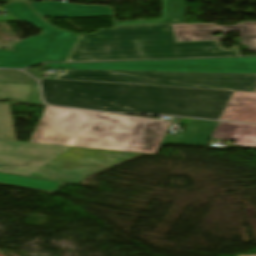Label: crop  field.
Segmentation results:
<instances>
[{
	"label": "crop field",
	"instance_id": "crop-field-12",
	"mask_svg": "<svg viewBox=\"0 0 256 256\" xmlns=\"http://www.w3.org/2000/svg\"><path fill=\"white\" fill-rule=\"evenodd\" d=\"M213 137L235 141L236 146L256 147V125L220 122Z\"/></svg>",
	"mask_w": 256,
	"mask_h": 256
},
{
	"label": "crop field",
	"instance_id": "crop-field-20",
	"mask_svg": "<svg viewBox=\"0 0 256 256\" xmlns=\"http://www.w3.org/2000/svg\"><path fill=\"white\" fill-rule=\"evenodd\" d=\"M30 74H32L34 77H38L40 70H26Z\"/></svg>",
	"mask_w": 256,
	"mask_h": 256
},
{
	"label": "crop field",
	"instance_id": "crop-field-19",
	"mask_svg": "<svg viewBox=\"0 0 256 256\" xmlns=\"http://www.w3.org/2000/svg\"><path fill=\"white\" fill-rule=\"evenodd\" d=\"M28 102L42 104L41 101H40V97H39L37 82H36V84L34 85V87L32 89V92L30 94Z\"/></svg>",
	"mask_w": 256,
	"mask_h": 256
},
{
	"label": "crop field",
	"instance_id": "crop-field-22",
	"mask_svg": "<svg viewBox=\"0 0 256 256\" xmlns=\"http://www.w3.org/2000/svg\"><path fill=\"white\" fill-rule=\"evenodd\" d=\"M239 256H256V255H239Z\"/></svg>",
	"mask_w": 256,
	"mask_h": 256
},
{
	"label": "crop field",
	"instance_id": "crop-field-16",
	"mask_svg": "<svg viewBox=\"0 0 256 256\" xmlns=\"http://www.w3.org/2000/svg\"><path fill=\"white\" fill-rule=\"evenodd\" d=\"M32 87L30 85L0 83V100L14 99V101L27 102Z\"/></svg>",
	"mask_w": 256,
	"mask_h": 256
},
{
	"label": "crop field",
	"instance_id": "crop-field-18",
	"mask_svg": "<svg viewBox=\"0 0 256 256\" xmlns=\"http://www.w3.org/2000/svg\"><path fill=\"white\" fill-rule=\"evenodd\" d=\"M0 82L34 84L35 80L22 71L0 70Z\"/></svg>",
	"mask_w": 256,
	"mask_h": 256
},
{
	"label": "crop field",
	"instance_id": "crop-field-11",
	"mask_svg": "<svg viewBox=\"0 0 256 256\" xmlns=\"http://www.w3.org/2000/svg\"><path fill=\"white\" fill-rule=\"evenodd\" d=\"M221 119L256 122V93L234 92Z\"/></svg>",
	"mask_w": 256,
	"mask_h": 256
},
{
	"label": "crop field",
	"instance_id": "crop-field-3",
	"mask_svg": "<svg viewBox=\"0 0 256 256\" xmlns=\"http://www.w3.org/2000/svg\"><path fill=\"white\" fill-rule=\"evenodd\" d=\"M239 56L220 41L176 42L170 25L114 27L81 36L67 62Z\"/></svg>",
	"mask_w": 256,
	"mask_h": 256
},
{
	"label": "crop field",
	"instance_id": "crop-field-10",
	"mask_svg": "<svg viewBox=\"0 0 256 256\" xmlns=\"http://www.w3.org/2000/svg\"><path fill=\"white\" fill-rule=\"evenodd\" d=\"M217 122L190 119L181 138L165 136L162 144L205 146Z\"/></svg>",
	"mask_w": 256,
	"mask_h": 256
},
{
	"label": "crop field",
	"instance_id": "crop-field-6",
	"mask_svg": "<svg viewBox=\"0 0 256 256\" xmlns=\"http://www.w3.org/2000/svg\"><path fill=\"white\" fill-rule=\"evenodd\" d=\"M43 68L256 74V57L45 64Z\"/></svg>",
	"mask_w": 256,
	"mask_h": 256
},
{
	"label": "crop field",
	"instance_id": "crop-field-2",
	"mask_svg": "<svg viewBox=\"0 0 256 256\" xmlns=\"http://www.w3.org/2000/svg\"><path fill=\"white\" fill-rule=\"evenodd\" d=\"M169 123L46 107L29 142L155 154Z\"/></svg>",
	"mask_w": 256,
	"mask_h": 256
},
{
	"label": "crop field",
	"instance_id": "crop-field-4",
	"mask_svg": "<svg viewBox=\"0 0 256 256\" xmlns=\"http://www.w3.org/2000/svg\"><path fill=\"white\" fill-rule=\"evenodd\" d=\"M135 155L138 154L0 141V171L78 184L86 175Z\"/></svg>",
	"mask_w": 256,
	"mask_h": 256
},
{
	"label": "crop field",
	"instance_id": "crop-field-23",
	"mask_svg": "<svg viewBox=\"0 0 256 256\" xmlns=\"http://www.w3.org/2000/svg\"><path fill=\"white\" fill-rule=\"evenodd\" d=\"M29 1H34V0H29Z\"/></svg>",
	"mask_w": 256,
	"mask_h": 256
},
{
	"label": "crop field",
	"instance_id": "crop-field-9",
	"mask_svg": "<svg viewBox=\"0 0 256 256\" xmlns=\"http://www.w3.org/2000/svg\"><path fill=\"white\" fill-rule=\"evenodd\" d=\"M41 17H87L111 16V8L105 6H82L60 2L30 3Z\"/></svg>",
	"mask_w": 256,
	"mask_h": 256
},
{
	"label": "crop field",
	"instance_id": "crop-field-7",
	"mask_svg": "<svg viewBox=\"0 0 256 256\" xmlns=\"http://www.w3.org/2000/svg\"><path fill=\"white\" fill-rule=\"evenodd\" d=\"M4 9L22 22L31 23L44 30L43 36L19 42L11 51L64 62L78 35L58 30L45 23L28 6L27 2L11 3ZM44 48V50L42 49Z\"/></svg>",
	"mask_w": 256,
	"mask_h": 256
},
{
	"label": "crop field",
	"instance_id": "crop-field-17",
	"mask_svg": "<svg viewBox=\"0 0 256 256\" xmlns=\"http://www.w3.org/2000/svg\"><path fill=\"white\" fill-rule=\"evenodd\" d=\"M0 139L16 141L9 103H0Z\"/></svg>",
	"mask_w": 256,
	"mask_h": 256
},
{
	"label": "crop field",
	"instance_id": "crop-field-15",
	"mask_svg": "<svg viewBox=\"0 0 256 256\" xmlns=\"http://www.w3.org/2000/svg\"><path fill=\"white\" fill-rule=\"evenodd\" d=\"M0 182L55 192L60 183L0 173Z\"/></svg>",
	"mask_w": 256,
	"mask_h": 256
},
{
	"label": "crop field",
	"instance_id": "crop-field-21",
	"mask_svg": "<svg viewBox=\"0 0 256 256\" xmlns=\"http://www.w3.org/2000/svg\"><path fill=\"white\" fill-rule=\"evenodd\" d=\"M19 1H27V0H11V2H19Z\"/></svg>",
	"mask_w": 256,
	"mask_h": 256
},
{
	"label": "crop field",
	"instance_id": "crop-field-1",
	"mask_svg": "<svg viewBox=\"0 0 256 256\" xmlns=\"http://www.w3.org/2000/svg\"><path fill=\"white\" fill-rule=\"evenodd\" d=\"M44 101L112 112L220 119L234 91L41 79Z\"/></svg>",
	"mask_w": 256,
	"mask_h": 256
},
{
	"label": "crop field",
	"instance_id": "crop-field-14",
	"mask_svg": "<svg viewBox=\"0 0 256 256\" xmlns=\"http://www.w3.org/2000/svg\"><path fill=\"white\" fill-rule=\"evenodd\" d=\"M46 61L52 60L42 59L6 50H0V68H24L29 65Z\"/></svg>",
	"mask_w": 256,
	"mask_h": 256
},
{
	"label": "crop field",
	"instance_id": "crop-field-8",
	"mask_svg": "<svg viewBox=\"0 0 256 256\" xmlns=\"http://www.w3.org/2000/svg\"><path fill=\"white\" fill-rule=\"evenodd\" d=\"M178 41L220 40L227 30H240L241 45L256 51V21L241 22L235 26H217L213 23L172 25ZM211 32H221L212 36Z\"/></svg>",
	"mask_w": 256,
	"mask_h": 256
},
{
	"label": "crop field",
	"instance_id": "crop-field-13",
	"mask_svg": "<svg viewBox=\"0 0 256 256\" xmlns=\"http://www.w3.org/2000/svg\"><path fill=\"white\" fill-rule=\"evenodd\" d=\"M185 2L186 0H164L163 12L160 20L119 21L115 23L116 26L184 23Z\"/></svg>",
	"mask_w": 256,
	"mask_h": 256
},
{
	"label": "crop field",
	"instance_id": "crop-field-5",
	"mask_svg": "<svg viewBox=\"0 0 256 256\" xmlns=\"http://www.w3.org/2000/svg\"><path fill=\"white\" fill-rule=\"evenodd\" d=\"M57 79L256 91V75L67 70Z\"/></svg>",
	"mask_w": 256,
	"mask_h": 256
}]
</instances>
